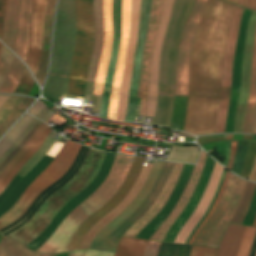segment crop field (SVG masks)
<instances>
[{"mask_svg": "<svg viewBox=\"0 0 256 256\" xmlns=\"http://www.w3.org/2000/svg\"><path fill=\"white\" fill-rule=\"evenodd\" d=\"M234 5L209 0L194 37L185 132L215 133L225 46Z\"/></svg>", "mask_w": 256, "mask_h": 256, "instance_id": "8a807250", "label": "crop field"}, {"mask_svg": "<svg viewBox=\"0 0 256 256\" xmlns=\"http://www.w3.org/2000/svg\"><path fill=\"white\" fill-rule=\"evenodd\" d=\"M59 0L53 33L52 59L47 82L43 89L46 97L55 100L65 98L83 99L84 87L90 64L94 17L93 0Z\"/></svg>", "mask_w": 256, "mask_h": 256, "instance_id": "ac0d7876", "label": "crop field"}, {"mask_svg": "<svg viewBox=\"0 0 256 256\" xmlns=\"http://www.w3.org/2000/svg\"><path fill=\"white\" fill-rule=\"evenodd\" d=\"M193 4L194 0H174L163 42L158 105L153 125L169 127L175 93L177 49Z\"/></svg>", "mask_w": 256, "mask_h": 256, "instance_id": "34b2d1b8", "label": "crop field"}, {"mask_svg": "<svg viewBox=\"0 0 256 256\" xmlns=\"http://www.w3.org/2000/svg\"><path fill=\"white\" fill-rule=\"evenodd\" d=\"M130 157L128 155H116L112 168L102 185L67 215L62 224L60 223L59 228L57 227L58 229L46 243L37 249V252L64 251L79 225L110 200L119 189L131 166Z\"/></svg>", "mask_w": 256, "mask_h": 256, "instance_id": "412701ff", "label": "crop field"}, {"mask_svg": "<svg viewBox=\"0 0 256 256\" xmlns=\"http://www.w3.org/2000/svg\"><path fill=\"white\" fill-rule=\"evenodd\" d=\"M81 144L67 140L62 151L51 164L25 189L15 205L0 217V229L24 214L32 201L46 188L60 179L70 168Z\"/></svg>", "mask_w": 256, "mask_h": 256, "instance_id": "f4fd0767", "label": "crop field"}, {"mask_svg": "<svg viewBox=\"0 0 256 256\" xmlns=\"http://www.w3.org/2000/svg\"><path fill=\"white\" fill-rule=\"evenodd\" d=\"M207 0H196L189 20L185 26L177 60L176 97L175 102L187 103L189 61L191 55L192 40L203 14Z\"/></svg>", "mask_w": 256, "mask_h": 256, "instance_id": "dd49c442", "label": "crop field"}, {"mask_svg": "<svg viewBox=\"0 0 256 256\" xmlns=\"http://www.w3.org/2000/svg\"><path fill=\"white\" fill-rule=\"evenodd\" d=\"M164 163V161H155L154 166L145 185L143 186L139 194L136 196L135 200L131 204H129L117 218H115L113 221H111L98 232L96 237L92 240L89 249H96L109 252L115 251L116 245L112 241H110L106 236L112 233L145 200L150 190L152 189L155 181L157 180Z\"/></svg>", "mask_w": 256, "mask_h": 256, "instance_id": "e52e79f7", "label": "crop field"}, {"mask_svg": "<svg viewBox=\"0 0 256 256\" xmlns=\"http://www.w3.org/2000/svg\"><path fill=\"white\" fill-rule=\"evenodd\" d=\"M243 10H244L243 8H240L237 6L235 8L232 25L229 33V38L226 46L224 68L222 67L223 68L222 88H221L219 110H218V117H217V123H216V133L224 132V128H225L226 113H227V107H228V101H229V95H230L233 57H234L240 18Z\"/></svg>", "mask_w": 256, "mask_h": 256, "instance_id": "d8731c3e", "label": "crop field"}, {"mask_svg": "<svg viewBox=\"0 0 256 256\" xmlns=\"http://www.w3.org/2000/svg\"><path fill=\"white\" fill-rule=\"evenodd\" d=\"M144 160L145 158L141 157L135 158L126 179L124 180L123 184L121 185L117 193L106 205H104L101 209H99L97 212H95L93 215H91L85 220V222L79 227V229L71 238L65 251L77 249L85 233L89 230L90 226L99 219H101L104 215H106L110 210H112L121 202V200L125 197V195L133 186Z\"/></svg>", "mask_w": 256, "mask_h": 256, "instance_id": "5a996713", "label": "crop field"}, {"mask_svg": "<svg viewBox=\"0 0 256 256\" xmlns=\"http://www.w3.org/2000/svg\"><path fill=\"white\" fill-rule=\"evenodd\" d=\"M162 2L163 0H153L152 2V8H151V13L149 18L144 52H143L142 69H141V75H140V81H139V87H138V98H142V103H141V99H138L135 115H139L140 103H141L140 115L144 116L145 114L151 50H152V45H153V41H154V37H155L157 25H158Z\"/></svg>", "mask_w": 256, "mask_h": 256, "instance_id": "3316defc", "label": "crop field"}, {"mask_svg": "<svg viewBox=\"0 0 256 256\" xmlns=\"http://www.w3.org/2000/svg\"><path fill=\"white\" fill-rule=\"evenodd\" d=\"M173 0H164L161 11L160 21L153 45L152 57H151V69H150V81L148 88V104L145 116L153 117L156 104H157V83H158V71H159V58L160 48L166 26L168 23Z\"/></svg>", "mask_w": 256, "mask_h": 256, "instance_id": "28ad6ade", "label": "crop field"}, {"mask_svg": "<svg viewBox=\"0 0 256 256\" xmlns=\"http://www.w3.org/2000/svg\"><path fill=\"white\" fill-rule=\"evenodd\" d=\"M256 29V13H252V16L248 23L244 56H243V67H242V82L240 87L238 109L235 121L234 132L243 133V119L249 94L250 87V75H251V63L254 46V37Z\"/></svg>", "mask_w": 256, "mask_h": 256, "instance_id": "d1516ede", "label": "crop field"}, {"mask_svg": "<svg viewBox=\"0 0 256 256\" xmlns=\"http://www.w3.org/2000/svg\"><path fill=\"white\" fill-rule=\"evenodd\" d=\"M152 0H142L139 20L138 37L134 51V65L129 91V102L125 121L133 122L135 107L137 102V87L141 68L142 52L147 28L148 17L150 13Z\"/></svg>", "mask_w": 256, "mask_h": 256, "instance_id": "22f410ed", "label": "crop field"}, {"mask_svg": "<svg viewBox=\"0 0 256 256\" xmlns=\"http://www.w3.org/2000/svg\"><path fill=\"white\" fill-rule=\"evenodd\" d=\"M141 0H132L131 3V25L127 45L126 64L120 86L119 103L116 120L124 121L128 102V91L130 85L131 70L133 64V51L137 37L139 9Z\"/></svg>", "mask_w": 256, "mask_h": 256, "instance_id": "cbeb9de0", "label": "crop field"}, {"mask_svg": "<svg viewBox=\"0 0 256 256\" xmlns=\"http://www.w3.org/2000/svg\"><path fill=\"white\" fill-rule=\"evenodd\" d=\"M51 130L52 129H50L42 122L40 126L35 130L26 145L8 163V165L0 173V193L11 181L13 176L19 171V169L40 147V145L43 143Z\"/></svg>", "mask_w": 256, "mask_h": 256, "instance_id": "5142ce71", "label": "crop field"}, {"mask_svg": "<svg viewBox=\"0 0 256 256\" xmlns=\"http://www.w3.org/2000/svg\"><path fill=\"white\" fill-rule=\"evenodd\" d=\"M46 0H34V8L30 27L29 44L25 63L36 75L42 43L43 20Z\"/></svg>", "mask_w": 256, "mask_h": 256, "instance_id": "d9b57169", "label": "crop field"}, {"mask_svg": "<svg viewBox=\"0 0 256 256\" xmlns=\"http://www.w3.org/2000/svg\"><path fill=\"white\" fill-rule=\"evenodd\" d=\"M121 26V0H113V41L110 54V60L104 82L103 98L100 116L107 117L111 84L115 71L116 61L119 50Z\"/></svg>", "mask_w": 256, "mask_h": 256, "instance_id": "733c2abd", "label": "crop field"}, {"mask_svg": "<svg viewBox=\"0 0 256 256\" xmlns=\"http://www.w3.org/2000/svg\"><path fill=\"white\" fill-rule=\"evenodd\" d=\"M130 23V0H122V26H121V41H120V50L119 58L116 66V71L113 80V87L110 97V106L108 117L115 116L116 107L118 102V93L119 86L122 78L124 63H125V53L126 45L129 31Z\"/></svg>", "mask_w": 256, "mask_h": 256, "instance_id": "4a817a6b", "label": "crop field"}, {"mask_svg": "<svg viewBox=\"0 0 256 256\" xmlns=\"http://www.w3.org/2000/svg\"><path fill=\"white\" fill-rule=\"evenodd\" d=\"M152 164H148L146 165V167H142L138 178L133 186V188L131 189V191L128 193V195L122 200V202L115 207L111 212H109L105 217H103L100 221H98L85 235L84 239L82 240L80 246L78 249H88L89 248V244L91 242V240L94 238V236L96 235V233L103 227L105 226L107 223H109L111 220H113L115 217H117L122 210L133 201V199L135 198V196L138 194V192L141 190L145 180L147 179L150 170L152 168Z\"/></svg>", "mask_w": 256, "mask_h": 256, "instance_id": "bc2a9ffb", "label": "crop field"}, {"mask_svg": "<svg viewBox=\"0 0 256 256\" xmlns=\"http://www.w3.org/2000/svg\"><path fill=\"white\" fill-rule=\"evenodd\" d=\"M222 169L223 167H221L219 164L217 163L215 164V167L213 168V171L210 177L209 184L207 186V189L199 205L197 206V208L195 209L191 217L188 219V221L184 224V226L178 233L175 243L184 244L193 227L196 225L199 219L204 215L214 195V192L216 190Z\"/></svg>", "mask_w": 256, "mask_h": 256, "instance_id": "214f88e0", "label": "crop field"}, {"mask_svg": "<svg viewBox=\"0 0 256 256\" xmlns=\"http://www.w3.org/2000/svg\"><path fill=\"white\" fill-rule=\"evenodd\" d=\"M174 163L166 162L163 170L154 185L153 189L151 190L150 194L146 198V200L138 207V209L126 220L124 221L112 234L108 237L117 244L120 237L124 234V232L132 226L152 205L155 201L157 195L159 194L160 190L162 189Z\"/></svg>", "mask_w": 256, "mask_h": 256, "instance_id": "92a150f3", "label": "crop field"}, {"mask_svg": "<svg viewBox=\"0 0 256 256\" xmlns=\"http://www.w3.org/2000/svg\"><path fill=\"white\" fill-rule=\"evenodd\" d=\"M206 155L204 152H201L198 165L194 167L192 176L180 198L177 205L173 209V211L170 213V215L167 217V219L162 223V225L153 233V235L150 237L152 240H158L161 241L163 236L165 235L168 228L171 226V224L174 222V220L178 217V215L181 213V211L184 209L188 199L190 198L197 182L200 177V174L202 172V169L204 167Z\"/></svg>", "mask_w": 256, "mask_h": 256, "instance_id": "dafd665d", "label": "crop field"}, {"mask_svg": "<svg viewBox=\"0 0 256 256\" xmlns=\"http://www.w3.org/2000/svg\"><path fill=\"white\" fill-rule=\"evenodd\" d=\"M183 164L176 163L167 182L149 211L137 221L124 235L135 237L139 231L163 208L181 172Z\"/></svg>", "mask_w": 256, "mask_h": 256, "instance_id": "00972430", "label": "crop field"}, {"mask_svg": "<svg viewBox=\"0 0 256 256\" xmlns=\"http://www.w3.org/2000/svg\"><path fill=\"white\" fill-rule=\"evenodd\" d=\"M105 37L100 64L95 80L94 94L102 95L103 82L109 60L112 40V0H103Z\"/></svg>", "mask_w": 256, "mask_h": 256, "instance_id": "a9b5d70f", "label": "crop field"}, {"mask_svg": "<svg viewBox=\"0 0 256 256\" xmlns=\"http://www.w3.org/2000/svg\"><path fill=\"white\" fill-rule=\"evenodd\" d=\"M236 177L230 175L228 183L226 185V188L224 190V193L221 197V200H220L216 210L211 215V217L208 219L206 224L203 226V228L201 229L199 234L196 236L193 244L201 245V246L205 245L212 230L219 222L223 212L225 211L226 207L228 206V204L231 200L232 194H233L236 184L238 182V178H236Z\"/></svg>", "mask_w": 256, "mask_h": 256, "instance_id": "4177f3b9", "label": "crop field"}, {"mask_svg": "<svg viewBox=\"0 0 256 256\" xmlns=\"http://www.w3.org/2000/svg\"><path fill=\"white\" fill-rule=\"evenodd\" d=\"M33 0H20L19 17L14 52L25 61Z\"/></svg>", "mask_w": 256, "mask_h": 256, "instance_id": "730fd06b", "label": "crop field"}, {"mask_svg": "<svg viewBox=\"0 0 256 256\" xmlns=\"http://www.w3.org/2000/svg\"><path fill=\"white\" fill-rule=\"evenodd\" d=\"M247 183H248L247 181H244L241 179L239 180L237 187L235 189V192L233 194L232 200H231L227 210L225 211L223 217L221 218L220 222L218 223L215 230L211 234L206 246L214 247V248L218 247L220 240L223 236V233H224L228 223L232 219V217L242 199V196L245 191Z\"/></svg>", "mask_w": 256, "mask_h": 256, "instance_id": "eef30255", "label": "crop field"}, {"mask_svg": "<svg viewBox=\"0 0 256 256\" xmlns=\"http://www.w3.org/2000/svg\"><path fill=\"white\" fill-rule=\"evenodd\" d=\"M55 8V0H47L46 15L44 20V32H43V44L41 50L40 64L37 72V80L42 85L46 73L48 53H49V42L50 33Z\"/></svg>", "mask_w": 256, "mask_h": 256, "instance_id": "ae1a2a85", "label": "crop field"}, {"mask_svg": "<svg viewBox=\"0 0 256 256\" xmlns=\"http://www.w3.org/2000/svg\"><path fill=\"white\" fill-rule=\"evenodd\" d=\"M18 8L19 0H7L3 20L2 41L11 49H13L15 41Z\"/></svg>", "mask_w": 256, "mask_h": 256, "instance_id": "d3111659", "label": "crop field"}, {"mask_svg": "<svg viewBox=\"0 0 256 256\" xmlns=\"http://www.w3.org/2000/svg\"><path fill=\"white\" fill-rule=\"evenodd\" d=\"M244 227L243 225L230 223L216 256H236Z\"/></svg>", "mask_w": 256, "mask_h": 256, "instance_id": "750c4746", "label": "crop field"}, {"mask_svg": "<svg viewBox=\"0 0 256 256\" xmlns=\"http://www.w3.org/2000/svg\"><path fill=\"white\" fill-rule=\"evenodd\" d=\"M256 103V37L252 64V77H251V89L247 103L245 120H244V133H252L253 124V112Z\"/></svg>", "mask_w": 256, "mask_h": 256, "instance_id": "bd1437ed", "label": "crop field"}, {"mask_svg": "<svg viewBox=\"0 0 256 256\" xmlns=\"http://www.w3.org/2000/svg\"><path fill=\"white\" fill-rule=\"evenodd\" d=\"M147 242L123 236L119 241L115 256H143Z\"/></svg>", "mask_w": 256, "mask_h": 256, "instance_id": "1d83c4d3", "label": "crop field"}, {"mask_svg": "<svg viewBox=\"0 0 256 256\" xmlns=\"http://www.w3.org/2000/svg\"><path fill=\"white\" fill-rule=\"evenodd\" d=\"M33 117L25 114L23 118L0 140V156L16 141Z\"/></svg>", "mask_w": 256, "mask_h": 256, "instance_id": "120bbe31", "label": "crop field"}, {"mask_svg": "<svg viewBox=\"0 0 256 256\" xmlns=\"http://www.w3.org/2000/svg\"><path fill=\"white\" fill-rule=\"evenodd\" d=\"M42 254L33 252L11 238L5 236L0 243V256H41Z\"/></svg>", "mask_w": 256, "mask_h": 256, "instance_id": "d32e631a", "label": "crop field"}, {"mask_svg": "<svg viewBox=\"0 0 256 256\" xmlns=\"http://www.w3.org/2000/svg\"><path fill=\"white\" fill-rule=\"evenodd\" d=\"M24 66L22 63L14 56L12 66L10 69L9 76L3 86L0 89L2 93H12L20 81Z\"/></svg>", "mask_w": 256, "mask_h": 256, "instance_id": "5866460e", "label": "crop field"}, {"mask_svg": "<svg viewBox=\"0 0 256 256\" xmlns=\"http://www.w3.org/2000/svg\"><path fill=\"white\" fill-rule=\"evenodd\" d=\"M255 188H256V184H253V183H248L247 185V188H246V191L244 193V196H243V199L241 201V204L238 208V210L236 211L233 219L231 220V222L233 223H238L240 224L248 207H249V204H250V201L252 199V196L254 194V191H255Z\"/></svg>", "mask_w": 256, "mask_h": 256, "instance_id": "028f5c9d", "label": "crop field"}, {"mask_svg": "<svg viewBox=\"0 0 256 256\" xmlns=\"http://www.w3.org/2000/svg\"><path fill=\"white\" fill-rule=\"evenodd\" d=\"M34 101L32 98L26 97L7 117V119L0 126V137L6 132V130L20 117V115L29 107Z\"/></svg>", "mask_w": 256, "mask_h": 256, "instance_id": "e1f06a70", "label": "crop field"}, {"mask_svg": "<svg viewBox=\"0 0 256 256\" xmlns=\"http://www.w3.org/2000/svg\"><path fill=\"white\" fill-rule=\"evenodd\" d=\"M192 246L161 243L157 256H189Z\"/></svg>", "mask_w": 256, "mask_h": 256, "instance_id": "0bd39190", "label": "crop field"}, {"mask_svg": "<svg viewBox=\"0 0 256 256\" xmlns=\"http://www.w3.org/2000/svg\"><path fill=\"white\" fill-rule=\"evenodd\" d=\"M12 57L13 54L2 45L0 54V86L7 78L12 62Z\"/></svg>", "mask_w": 256, "mask_h": 256, "instance_id": "b80d0937", "label": "crop field"}, {"mask_svg": "<svg viewBox=\"0 0 256 256\" xmlns=\"http://www.w3.org/2000/svg\"><path fill=\"white\" fill-rule=\"evenodd\" d=\"M255 232L256 228L248 226L245 227L237 256H248Z\"/></svg>", "mask_w": 256, "mask_h": 256, "instance_id": "c035e120", "label": "crop field"}, {"mask_svg": "<svg viewBox=\"0 0 256 256\" xmlns=\"http://www.w3.org/2000/svg\"><path fill=\"white\" fill-rule=\"evenodd\" d=\"M248 142L238 141L231 171L240 174L247 151Z\"/></svg>", "mask_w": 256, "mask_h": 256, "instance_id": "c21b1889", "label": "crop field"}, {"mask_svg": "<svg viewBox=\"0 0 256 256\" xmlns=\"http://www.w3.org/2000/svg\"><path fill=\"white\" fill-rule=\"evenodd\" d=\"M255 156H256V142H249L245 163H244L242 172L240 174L241 176L248 178L255 160Z\"/></svg>", "mask_w": 256, "mask_h": 256, "instance_id": "03da06ac", "label": "crop field"}, {"mask_svg": "<svg viewBox=\"0 0 256 256\" xmlns=\"http://www.w3.org/2000/svg\"><path fill=\"white\" fill-rule=\"evenodd\" d=\"M21 96H11L0 108V124L12 112V110L24 99Z\"/></svg>", "mask_w": 256, "mask_h": 256, "instance_id": "b54c1fbb", "label": "crop field"}, {"mask_svg": "<svg viewBox=\"0 0 256 256\" xmlns=\"http://www.w3.org/2000/svg\"><path fill=\"white\" fill-rule=\"evenodd\" d=\"M33 82L34 81L32 77L30 76L29 72L25 68L24 73L22 75V79L18 84V86L16 87L14 93H21V94L28 95L32 88Z\"/></svg>", "mask_w": 256, "mask_h": 256, "instance_id": "5d738f31", "label": "crop field"}, {"mask_svg": "<svg viewBox=\"0 0 256 256\" xmlns=\"http://www.w3.org/2000/svg\"><path fill=\"white\" fill-rule=\"evenodd\" d=\"M229 175H230V173H229V172H226L223 185H222V187H221V189H220V191H219V193H218V195H217V198H216V200H215V202H214V204H213L211 210L209 211V213H208V215L206 216L205 220L202 222V224H201V225L199 226V228L196 230V232H195V234L193 235V237L191 238L189 244L192 243V241H193V239L195 238V236L198 234V232L200 231V229L202 228V226L204 225V223L207 221V219L209 218V216H210V215L212 214V212L214 211V209H215V207H216V205H217V203H218V201H219V199H220V197H221V195H222V193H223V190H224V188H225V185H226V182H227V180H228Z\"/></svg>", "mask_w": 256, "mask_h": 256, "instance_id": "d23c7cc5", "label": "crop field"}, {"mask_svg": "<svg viewBox=\"0 0 256 256\" xmlns=\"http://www.w3.org/2000/svg\"><path fill=\"white\" fill-rule=\"evenodd\" d=\"M39 120L37 119H33V121L30 123V125L27 127V129L23 132V134L18 138V140L12 145V147L6 152L4 153L1 157H0V162L14 149L16 148L21 141L26 137V135L29 133V131L35 126V124L38 122ZM1 164V163H0Z\"/></svg>", "mask_w": 256, "mask_h": 256, "instance_id": "425ffa30", "label": "crop field"}, {"mask_svg": "<svg viewBox=\"0 0 256 256\" xmlns=\"http://www.w3.org/2000/svg\"><path fill=\"white\" fill-rule=\"evenodd\" d=\"M216 249L193 246L190 256H214Z\"/></svg>", "mask_w": 256, "mask_h": 256, "instance_id": "25e5ab78", "label": "crop field"}, {"mask_svg": "<svg viewBox=\"0 0 256 256\" xmlns=\"http://www.w3.org/2000/svg\"><path fill=\"white\" fill-rule=\"evenodd\" d=\"M225 172H226V170L223 169L222 176H221L220 182H219V184H218L216 193H215V195H214V197H213V199H212V201H211V203H210V205H209V207H208V210H207L206 214L200 219V221L198 222V224L196 225V227L194 228V230L192 231V233H191L190 236L188 237V239H187V241H186L185 244H188V242H189L190 238L192 237L193 233L195 232V230L198 228V226L201 224V222L204 220L205 216L207 215V213H208V211H209V209H210V207H211V205H212V203H213V201H214V199H215V197H216V195H217V193H218V191H219V189H220V187H221V185H222Z\"/></svg>", "mask_w": 256, "mask_h": 256, "instance_id": "73cf0c24", "label": "crop field"}, {"mask_svg": "<svg viewBox=\"0 0 256 256\" xmlns=\"http://www.w3.org/2000/svg\"><path fill=\"white\" fill-rule=\"evenodd\" d=\"M65 142H66V139L59 136V138L56 140V142L53 144V146L47 152V155H51V156L55 157Z\"/></svg>", "mask_w": 256, "mask_h": 256, "instance_id": "89e229c0", "label": "crop field"}, {"mask_svg": "<svg viewBox=\"0 0 256 256\" xmlns=\"http://www.w3.org/2000/svg\"><path fill=\"white\" fill-rule=\"evenodd\" d=\"M159 244L160 243L149 241L144 256H156Z\"/></svg>", "mask_w": 256, "mask_h": 256, "instance_id": "1f2cbd36", "label": "crop field"}, {"mask_svg": "<svg viewBox=\"0 0 256 256\" xmlns=\"http://www.w3.org/2000/svg\"><path fill=\"white\" fill-rule=\"evenodd\" d=\"M45 107L46 106L43 104V102L40 99H38L37 102L28 111V113L36 117L38 113Z\"/></svg>", "mask_w": 256, "mask_h": 256, "instance_id": "dbb93151", "label": "crop field"}, {"mask_svg": "<svg viewBox=\"0 0 256 256\" xmlns=\"http://www.w3.org/2000/svg\"><path fill=\"white\" fill-rule=\"evenodd\" d=\"M224 135L197 138L198 144L222 140Z\"/></svg>", "mask_w": 256, "mask_h": 256, "instance_id": "0fb4a251", "label": "crop field"}, {"mask_svg": "<svg viewBox=\"0 0 256 256\" xmlns=\"http://www.w3.org/2000/svg\"><path fill=\"white\" fill-rule=\"evenodd\" d=\"M56 114V113H55ZM53 115L46 123H50L51 121L54 122L55 124H57L58 126H62L63 124H65L67 121L57 115Z\"/></svg>", "mask_w": 256, "mask_h": 256, "instance_id": "1d79db26", "label": "crop field"}, {"mask_svg": "<svg viewBox=\"0 0 256 256\" xmlns=\"http://www.w3.org/2000/svg\"><path fill=\"white\" fill-rule=\"evenodd\" d=\"M99 251H93V250H86L85 256H97ZM112 253L107 252H99L98 256H113Z\"/></svg>", "mask_w": 256, "mask_h": 256, "instance_id": "9d1cf04e", "label": "crop field"}, {"mask_svg": "<svg viewBox=\"0 0 256 256\" xmlns=\"http://www.w3.org/2000/svg\"><path fill=\"white\" fill-rule=\"evenodd\" d=\"M6 0H0V39H1V31H2V20H3V12L5 7Z\"/></svg>", "mask_w": 256, "mask_h": 256, "instance_id": "447ae74e", "label": "crop field"}, {"mask_svg": "<svg viewBox=\"0 0 256 256\" xmlns=\"http://www.w3.org/2000/svg\"><path fill=\"white\" fill-rule=\"evenodd\" d=\"M236 144H237V142H232V144H231V155H230V160H229V164L227 167L229 169H231V165H232V161H233V157H234V153H235V149H236Z\"/></svg>", "mask_w": 256, "mask_h": 256, "instance_id": "0765c3eb", "label": "crop field"}, {"mask_svg": "<svg viewBox=\"0 0 256 256\" xmlns=\"http://www.w3.org/2000/svg\"><path fill=\"white\" fill-rule=\"evenodd\" d=\"M229 155H230V142H227V144H226V157H225L224 166H227Z\"/></svg>", "mask_w": 256, "mask_h": 256, "instance_id": "db79e9e6", "label": "crop field"}, {"mask_svg": "<svg viewBox=\"0 0 256 256\" xmlns=\"http://www.w3.org/2000/svg\"><path fill=\"white\" fill-rule=\"evenodd\" d=\"M249 180L256 181V160H255L252 172H251V174L249 176Z\"/></svg>", "mask_w": 256, "mask_h": 256, "instance_id": "7b73153f", "label": "crop field"}, {"mask_svg": "<svg viewBox=\"0 0 256 256\" xmlns=\"http://www.w3.org/2000/svg\"><path fill=\"white\" fill-rule=\"evenodd\" d=\"M255 254H256V235H255L254 242H253L249 256H255Z\"/></svg>", "mask_w": 256, "mask_h": 256, "instance_id": "78b8030e", "label": "crop field"}, {"mask_svg": "<svg viewBox=\"0 0 256 256\" xmlns=\"http://www.w3.org/2000/svg\"><path fill=\"white\" fill-rule=\"evenodd\" d=\"M85 250L74 251L70 253V256H83Z\"/></svg>", "mask_w": 256, "mask_h": 256, "instance_id": "0f1d7ab4", "label": "crop field"}, {"mask_svg": "<svg viewBox=\"0 0 256 256\" xmlns=\"http://www.w3.org/2000/svg\"><path fill=\"white\" fill-rule=\"evenodd\" d=\"M253 133H256V107H255V112H254Z\"/></svg>", "mask_w": 256, "mask_h": 256, "instance_id": "e1d0b9f6", "label": "crop field"}, {"mask_svg": "<svg viewBox=\"0 0 256 256\" xmlns=\"http://www.w3.org/2000/svg\"><path fill=\"white\" fill-rule=\"evenodd\" d=\"M10 96H0V106L9 98Z\"/></svg>", "mask_w": 256, "mask_h": 256, "instance_id": "ae633e8c", "label": "crop field"}, {"mask_svg": "<svg viewBox=\"0 0 256 256\" xmlns=\"http://www.w3.org/2000/svg\"><path fill=\"white\" fill-rule=\"evenodd\" d=\"M49 109L46 107L38 116L37 118H41Z\"/></svg>", "mask_w": 256, "mask_h": 256, "instance_id": "d14b1444", "label": "crop field"}, {"mask_svg": "<svg viewBox=\"0 0 256 256\" xmlns=\"http://www.w3.org/2000/svg\"><path fill=\"white\" fill-rule=\"evenodd\" d=\"M69 253H70V252H67V253H60V254H57L56 256H69Z\"/></svg>", "mask_w": 256, "mask_h": 256, "instance_id": "c39391a2", "label": "crop field"}, {"mask_svg": "<svg viewBox=\"0 0 256 256\" xmlns=\"http://www.w3.org/2000/svg\"><path fill=\"white\" fill-rule=\"evenodd\" d=\"M233 135H225L224 139H232Z\"/></svg>", "mask_w": 256, "mask_h": 256, "instance_id": "ade564c9", "label": "crop field"}, {"mask_svg": "<svg viewBox=\"0 0 256 256\" xmlns=\"http://www.w3.org/2000/svg\"><path fill=\"white\" fill-rule=\"evenodd\" d=\"M252 136L243 135V139H251Z\"/></svg>", "mask_w": 256, "mask_h": 256, "instance_id": "c5b07064", "label": "crop field"}, {"mask_svg": "<svg viewBox=\"0 0 256 256\" xmlns=\"http://www.w3.org/2000/svg\"><path fill=\"white\" fill-rule=\"evenodd\" d=\"M252 226L256 227V218H255V221H254Z\"/></svg>", "mask_w": 256, "mask_h": 256, "instance_id": "c3a83c6f", "label": "crop field"}, {"mask_svg": "<svg viewBox=\"0 0 256 256\" xmlns=\"http://www.w3.org/2000/svg\"><path fill=\"white\" fill-rule=\"evenodd\" d=\"M252 140H256V136H253Z\"/></svg>", "mask_w": 256, "mask_h": 256, "instance_id": "fb207236", "label": "crop field"}, {"mask_svg": "<svg viewBox=\"0 0 256 256\" xmlns=\"http://www.w3.org/2000/svg\"><path fill=\"white\" fill-rule=\"evenodd\" d=\"M43 256H50V255H43Z\"/></svg>", "mask_w": 256, "mask_h": 256, "instance_id": "7312dd0a", "label": "crop field"}, {"mask_svg": "<svg viewBox=\"0 0 256 256\" xmlns=\"http://www.w3.org/2000/svg\"><path fill=\"white\" fill-rule=\"evenodd\" d=\"M0 45H1V43H0Z\"/></svg>", "mask_w": 256, "mask_h": 256, "instance_id": "180be81f", "label": "crop field"}]
</instances>
